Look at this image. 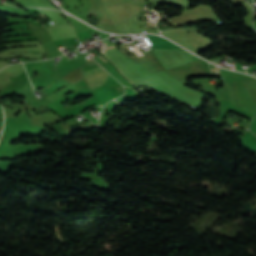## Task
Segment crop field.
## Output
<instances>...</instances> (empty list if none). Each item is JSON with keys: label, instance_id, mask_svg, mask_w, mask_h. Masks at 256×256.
I'll return each instance as SVG.
<instances>
[{"label": "crop field", "instance_id": "1", "mask_svg": "<svg viewBox=\"0 0 256 256\" xmlns=\"http://www.w3.org/2000/svg\"><path fill=\"white\" fill-rule=\"evenodd\" d=\"M113 47H115V46H113ZM113 47H107V48H113ZM107 48H105V49H107Z\"/></svg>", "mask_w": 256, "mask_h": 256}]
</instances>
